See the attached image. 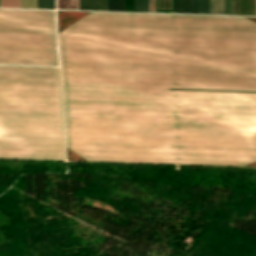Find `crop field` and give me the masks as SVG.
I'll list each match as a JSON object with an SVG mask.
<instances>
[{"instance_id": "obj_1", "label": "crop field", "mask_w": 256, "mask_h": 256, "mask_svg": "<svg viewBox=\"0 0 256 256\" xmlns=\"http://www.w3.org/2000/svg\"><path fill=\"white\" fill-rule=\"evenodd\" d=\"M67 146L87 161L256 160V24L92 12L59 33Z\"/></svg>"}, {"instance_id": "obj_2", "label": "crop field", "mask_w": 256, "mask_h": 256, "mask_svg": "<svg viewBox=\"0 0 256 256\" xmlns=\"http://www.w3.org/2000/svg\"><path fill=\"white\" fill-rule=\"evenodd\" d=\"M0 158L65 160L58 67L0 65Z\"/></svg>"}, {"instance_id": "obj_3", "label": "crop field", "mask_w": 256, "mask_h": 256, "mask_svg": "<svg viewBox=\"0 0 256 256\" xmlns=\"http://www.w3.org/2000/svg\"><path fill=\"white\" fill-rule=\"evenodd\" d=\"M0 63L58 65L54 11L0 9Z\"/></svg>"}, {"instance_id": "obj_4", "label": "crop field", "mask_w": 256, "mask_h": 256, "mask_svg": "<svg viewBox=\"0 0 256 256\" xmlns=\"http://www.w3.org/2000/svg\"><path fill=\"white\" fill-rule=\"evenodd\" d=\"M58 9H79V0H57ZM80 9L107 10V0H80Z\"/></svg>"}, {"instance_id": "obj_5", "label": "crop field", "mask_w": 256, "mask_h": 256, "mask_svg": "<svg viewBox=\"0 0 256 256\" xmlns=\"http://www.w3.org/2000/svg\"><path fill=\"white\" fill-rule=\"evenodd\" d=\"M178 13H197V0H178Z\"/></svg>"}, {"instance_id": "obj_6", "label": "crop field", "mask_w": 256, "mask_h": 256, "mask_svg": "<svg viewBox=\"0 0 256 256\" xmlns=\"http://www.w3.org/2000/svg\"><path fill=\"white\" fill-rule=\"evenodd\" d=\"M159 3H171V0H159ZM156 12L174 13L175 0H172V4H158V0H156ZM176 13H177V0H176Z\"/></svg>"}, {"instance_id": "obj_7", "label": "crop field", "mask_w": 256, "mask_h": 256, "mask_svg": "<svg viewBox=\"0 0 256 256\" xmlns=\"http://www.w3.org/2000/svg\"><path fill=\"white\" fill-rule=\"evenodd\" d=\"M135 11L148 12V0H135ZM149 12H155V0H149Z\"/></svg>"}, {"instance_id": "obj_8", "label": "crop field", "mask_w": 256, "mask_h": 256, "mask_svg": "<svg viewBox=\"0 0 256 256\" xmlns=\"http://www.w3.org/2000/svg\"><path fill=\"white\" fill-rule=\"evenodd\" d=\"M108 10L125 11V0H108Z\"/></svg>"}, {"instance_id": "obj_9", "label": "crop field", "mask_w": 256, "mask_h": 256, "mask_svg": "<svg viewBox=\"0 0 256 256\" xmlns=\"http://www.w3.org/2000/svg\"><path fill=\"white\" fill-rule=\"evenodd\" d=\"M198 13L209 14V0H198Z\"/></svg>"}, {"instance_id": "obj_10", "label": "crop field", "mask_w": 256, "mask_h": 256, "mask_svg": "<svg viewBox=\"0 0 256 256\" xmlns=\"http://www.w3.org/2000/svg\"><path fill=\"white\" fill-rule=\"evenodd\" d=\"M38 8L54 9V0H37Z\"/></svg>"}, {"instance_id": "obj_11", "label": "crop field", "mask_w": 256, "mask_h": 256, "mask_svg": "<svg viewBox=\"0 0 256 256\" xmlns=\"http://www.w3.org/2000/svg\"><path fill=\"white\" fill-rule=\"evenodd\" d=\"M0 5H3V7L20 8V0H1Z\"/></svg>"}, {"instance_id": "obj_12", "label": "crop field", "mask_w": 256, "mask_h": 256, "mask_svg": "<svg viewBox=\"0 0 256 256\" xmlns=\"http://www.w3.org/2000/svg\"><path fill=\"white\" fill-rule=\"evenodd\" d=\"M21 8H36V0H21Z\"/></svg>"}]
</instances>
